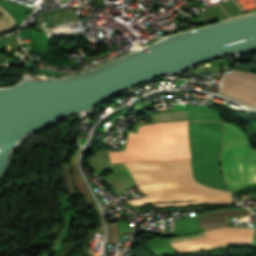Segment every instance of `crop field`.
Segmentation results:
<instances>
[{"instance_id": "crop-field-1", "label": "crop field", "mask_w": 256, "mask_h": 256, "mask_svg": "<svg viewBox=\"0 0 256 256\" xmlns=\"http://www.w3.org/2000/svg\"><path fill=\"white\" fill-rule=\"evenodd\" d=\"M111 163L145 160H174L190 158L187 140V121L160 122L138 127V134L130 133L125 151L109 152ZM139 191L148 196L128 200L132 206L152 202L159 207H178L190 204L232 203L229 192L214 190L197 184L191 173L189 159L163 162L125 163Z\"/></svg>"}, {"instance_id": "crop-field-2", "label": "crop field", "mask_w": 256, "mask_h": 256, "mask_svg": "<svg viewBox=\"0 0 256 256\" xmlns=\"http://www.w3.org/2000/svg\"><path fill=\"white\" fill-rule=\"evenodd\" d=\"M222 122H188V139L194 179L229 191L219 168Z\"/></svg>"}, {"instance_id": "crop-field-3", "label": "crop field", "mask_w": 256, "mask_h": 256, "mask_svg": "<svg viewBox=\"0 0 256 256\" xmlns=\"http://www.w3.org/2000/svg\"><path fill=\"white\" fill-rule=\"evenodd\" d=\"M251 215L249 210H230L199 215L206 230L229 226L227 216ZM254 228L227 227L204 231L190 236L168 238L167 241L180 254L193 250L215 248L226 244H252Z\"/></svg>"}, {"instance_id": "crop-field-4", "label": "crop field", "mask_w": 256, "mask_h": 256, "mask_svg": "<svg viewBox=\"0 0 256 256\" xmlns=\"http://www.w3.org/2000/svg\"><path fill=\"white\" fill-rule=\"evenodd\" d=\"M221 168L230 190L256 185V150L236 126L224 123Z\"/></svg>"}, {"instance_id": "crop-field-5", "label": "crop field", "mask_w": 256, "mask_h": 256, "mask_svg": "<svg viewBox=\"0 0 256 256\" xmlns=\"http://www.w3.org/2000/svg\"><path fill=\"white\" fill-rule=\"evenodd\" d=\"M220 94L256 108V74L236 70L225 73Z\"/></svg>"}, {"instance_id": "crop-field-6", "label": "crop field", "mask_w": 256, "mask_h": 256, "mask_svg": "<svg viewBox=\"0 0 256 256\" xmlns=\"http://www.w3.org/2000/svg\"><path fill=\"white\" fill-rule=\"evenodd\" d=\"M72 169H73L74 181H75V184H76L78 190L80 191V193L82 194L84 199L87 201L89 206H91V207L96 206L91 194L89 193L82 177L80 176V174L78 172L77 165H72Z\"/></svg>"}, {"instance_id": "crop-field-7", "label": "crop field", "mask_w": 256, "mask_h": 256, "mask_svg": "<svg viewBox=\"0 0 256 256\" xmlns=\"http://www.w3.org/2000/svg\"><path fill=\"white\" fill-rule=\"evenodd\" d=\"M108 225V239L107 244L119 241L118 238V224L112 223Z\"/></svg>"}, {"instance_id": "crop-field-8", "label": "crop field", "mask_w": 256, "mask_h": 256, "mask_svg": "<svg viewBox=\"0 0 256 256\" xmlns=\"http://www.w3.org/2000/svg\"><path fill=\"white\" fill-rule=\"evenodd\" d=\"M63 178L65 180V184L67 186V189L69 190V192H73V186H72V180H71V176H70V172H69V166L64 168L63 171Z\"/></svg>"}]
</instances>
